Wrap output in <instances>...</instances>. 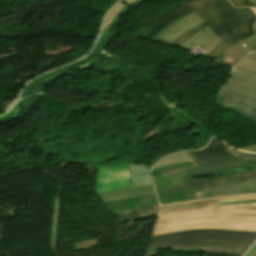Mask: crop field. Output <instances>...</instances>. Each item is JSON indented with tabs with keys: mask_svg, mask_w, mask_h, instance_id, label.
Here are the masks:
<instances>
[{
	"mask_svg": "<svg viewBox=\"0 0 256 256\" xmlns=\"http://www.w3.org/2000/svg\"><path fill=\"white\" fill-rule=\"evenodd\" d=\"M132 188L129 165L105 167L97 165L95 193Z\"/></svg>",
	"mask_w": 256,
	"mask_h": 256,
	"instance_id": "4",
	"label": "crop field"
},
{
	"mask_svg": "<svg viewBox=\"0 0 256 256\" xmlns=\"http://www.w3.org/2000/svg\"><path fill=\"white\" fill-rule=\"evenodd\" d=\"M245 256H256V243Z\"/></svg>",
	"mask_w": 256,
	"mask_h": 256,
	"instance_id": "23",
	"label": "crop field"
},
{
	"mask_svg": "<svg viewBox=\"0 0 256 256\" xmlns=\"http://www.w3.org/2000/svg\"><path fill=\"white\" fill-rule=\"evenodd\" d=\"M242 150H247V151L256 152V144L251 145V146H249V147L242 148Z\"/></svg>",
	"mask_w": 256,
	"mask_h": 256,
	"instance_id": "24",
	"label": "crop field"
},
{
	"mask_svg": "<svg viewBox=\"0 0 256 256\" xmlns=\"http://www.w3.org/2000/svg\"><path fill=\"white\" fill-rule=\"evenodd\" d=\"M133 187L152 185L146 164L130 165Z\"/></svg>",
	"mask_w": 256,
	"mask_h": 256,
	"instance_id": "15",
	"label": "crop field"
},
{
	"mask_svg": "<svg viewBox=\"0 0 256 256\" xmlns=\"http://www.w3.org/2000/svg\"><path fill=\"white\" fill-rule=\"evenodd\" d=\"M252 30L254 31V33L256 34V21L253 23L252 25Z\"/></svg>",
	"mask_w": 256,
	"mask_h": 256,
	"instance_id": "26",
	"label": "crop field"
},
{
	"mask_svg": "<svg viewBox=\"0 0 256 256\" xmlns=\"http://www.w3.org/2000/svg\"><path fill=\"white\" fill-rule=\"evenodd\" d=\"M123 1H126L128 4H131L133 2L139 1V0H120L119 3L112 8V10L108 13L103 26L101 30V34L99 39L109 30L111 25L115 23L118 14L124 9ZM98 39V40H99Z\"/></svg>",
	"mask_w": 256,
	"mask_h": 256,
	"instance_id": "17",
	"label": "crop field"
},
{
	"mask_svg": "<svg viewBox=\"0 0 256 256\" xmlns=\"http://www.w3.org/2000/svg\"><path fill=\"white\" fill-rule=\"evenodd\" d=\"M233 5L236 7H241V6H249L251 7L255 13H256V3H251L248 2V0H229Z\"/></svg>",
	"mask_w": 256,
	"mask_h": 256,
	"instance_id": "21",
	"label": "crop field"
},
{
	"mask_svg": "<svg viewBox=\"0 0 256 256\" xmlns=\"http://www.w3.org/2000/svg\"><path fill=\"white\" fill-rule=\"evenodd\" d=\"M246 203H256V199L245 200V201H235V202H221V203H219V206L230 205V204H246Z\"/></svg>",
	"mask_w": 256,
	"mask_h": 256,
	"instance_id": "22",
	"label": "crop field"
},
{
	"mask_svg": "<svg viewBox=\"0 0 256 256\" xmlns=\"http://www.w3.org/2000/svg\"><path fill=\"white\" fill-rule=\"evenodd\" d=\"M190 165H192L191 162H187V163L169 165V166H165V167H161V168H155V169H152L151 174L159 172V171L176 169V168L186 167V166H190Z\"/></svg>",
	"mask_w": 256,
	"mask_h": 256,
	"instance_id": "20",
	"label": "crop field"
},
{
	"mask_svg": "<svg viewBox=\"0 0 256 256\" xmlns=\"http://www.w3.org/2000/svg\"><path fill=\"white\" fill-rule=\"evenodd\" d=\"M102 205L106 208L108 212H118V211L152 207V206H157L159 204L157 201L156 194H151V195H142V196L106 201V202H102Z\"/></svg>",
	"mask_w": 256,
	"mask_h": 256,
	"instance_id": "9",
	"label": "crop field"
},
{
	"mask_svg": "<svg viewBox=\"0 0 256 256\" xmlns=\"http://www.w3.org/2000/svg\"><path fill=\"white\" fill-rule=\"evenodd\" d=\"M243 164H256V154L248 153L245 155L220 160L208 164L194 166L197 172L181 175L183 178L198 176L201 174L218 171L230 167H235Z\"/></svg>",
	"mask_w": 256,
	"mask_h": 256,
	"instance_id": "10",
	"label": "crop field"
},
{
	"mask_svg": "<svg viewBox=\"0 0 256 256\" xmlns=\"http://www.w3.org/2000/svg\"><path fill=\"white\" fill-rule=\"evenodd\" d=\"M218 92L235 93L256 100V73L234 69Z\"/></svg>",
	"mask_w": 256,
	"mask_h": 256,
	"instance_id": "6",
	"label": "crop field"
},
{
	"mask_svg": "<svg viewBox=\"0 0 256 256\" xmlns=\"http://www.w3.org/2000/svg\"><path fill=\"white\" fill-rule=\"evenodd\" d=\"M255 238V232L231 230L184 231L151 237L148 249L157 247L162 250L202 248V252L241 256Z\"/></svg>",
	"mask_w": 256,
	"mask_h": 256,
	"instance_id": "3",
	"label": "crop field"
},
{
	"mask_svg": "<svg viewBox=\"0 0 256 256\" xmlns=\"http://www.w3.org/2000/svg\"><path fill=\"white\" fill-rule=\"evenodd\" d=\"M150 193H155L153 186L101 193L98 195L101 201H105V200L118 199V198H124V197H130V196H136V195H142V194H150Z\"/></svg>",
	"mask_w": 256,
	"mask_h": 256,
	"instance_id": "13",
	"label": "crop field"
},
{
	"mask_svg": "<svg viewBox=\"0 0 256 256\" xmlns=\"http://www.w3.org/2000/svg\"><path fill=\"white\" fill-rule=\"evenodd\" d=\"M187 161H189V159L185 151H182L163 159L155 167H160V166L173 164V163L187 162Z\"/></svg>",
	"mask_w": 256,
	"mask_h": 256,
	"instance_id": "18",
	"label": "crop field"
},
{
	"mask_svg": "<svg viewBox=\"0 0 256 256\" xmlns=\"http://www.w3.org/2000/svg\"><path fill=\"white\" fill-rule=\"evenodd\" d=\"M256 193V180L196 192L197 199L215 198L227 195Z\"/></svg>",
	"mask_w": 256,
	"mask_h": 256,
	"instance_id": "11",
	"label": "crop field"
},
{
	"mask_svg": "<svg viewBox=\"0 0 256 256\" xmlns=\"http://www.w3.org/2000/svg\"><path fill=\"white\" fill-rule=\"evenodd\" d=\"M256 198V194L161 206L153 234L198 229H231L256 232V204L218 207V202Z\"/></svg>",
	"mask_w": 256,
	"mask_h": 256,
	"instance_id": "2",
	"label": "crop field"
},
{
	"mask_svg": "<svg viewBox=\"0 0 256 256\" xmlns=\"http://www.w3.org/2000/svg\"><path fill=\"white\" fill-rule=\"evenodd\" d=\"M245 58H248V59L256 61V51L253 52L252 54L246 56Z\"/></svg>",
	"mask_w": 256,
	"mask_h": 256,
	"instance_id": "25",
	"label": "crop field"
},
{
	"mask_svg": "<svg viewBox=\"0 0 256 256\" xmlns=\"http://www.w3.org/2000/svg\"><path fill=\"white\" fill-rule=\"evenodd\" d=\"M237 67L256 72V62H253L245 58H242L239 61Z\"/></svg>",
	"mask_w": 256,
	"mask_h": 256,
	"instance_id": "19",
	"label": "crop field"
},
{
	"mask_svg": "<svg viewBox=\"0 0 256 256\" xmlns=\"http://www.w3.org/2000/svg\"><path fill=\"white\" fill-rule=\"evenodd\" d=\"M252 179H256V170L241 171L237 173L226 174V175L210 177V178L192 177V178L183 179L186 185L159 190L157 191V194L160 195V194L187 189L191 187H194V190L196 192V191H200V190H204L212 187L228 185V184H233V183H237L245 180H252Z\"/></svg>",
	"mask_w": 256,
	"mask_h": 256,
	"instance_id": "5",
	"label": "crop field"
},
{
	"mask_svg": "<svg viewBox=\"0 0 256 256\" xmlns=\"http://www.w3.org/2000/svg\"><path fill=\"white\" fill-rule=\"evenodd\" d=\"M249 1L256 2V0H249Z\"/></svg>",
	"mask_w": 256,
	"mask_h": 256,
	"instance_id": "27",
	"label": "crop field"
},
{
	"mask_svg": "<svg viewBox=\"0 0 256 256\" xmlns=\"http://www.w3.org/2000/svg\"><path fill=\"white\" fill-rule=\"evenodd\" d=\"M186 153L189 156L194 166L198 164L208 163V162L244 154L247 152L233 149L214 137L211 140L208 147L200 151H186Z\"/></svg>",
	"mask_w": 256,
	"mask_h": 256,
	"instance_id": "7",
	"label": "crop field"
},
{
	"mask_svg": "<svg viewBox=\"0 0 256 256\" xmlns=\"http://www.w3.org/2000/svg\"><path fill=\"white\" fill-rule=\"evenodd\" d=\"M158 207L146 208V209H139L133 211H126V212H118L112 213L120 220L126 222L131 220H139V219H147L156 217Z\"/></svg>",
	"mask_w": 256,
	"mask_h": 256,
	"instance_id": "14",
	"label": "crop field"
},
{
	"mask_svg": "<svg viewBox=\"0 0 256 256\" xmlns=\"http://www.w3.org/2000/svg\"><path fill=\"white\" fill-rule=\"evenodd\" d=\"M161 205L197 200L193 188L158 196Z\"/></svg>",
	"mask_w": 256,
	"mask_h": 256,
	"instance_id": "16",
	"label": "crop field"
},
{
	"mask_svg": "<svg viewBox=\"0 0 256 256\" xmlns=\"http://www.w3.org/2000/svg\"><path fill=\"white\" fill-rule=\"evenodd\" d=\"M218 102L226 108L243 113L244 116L256 122V101L235 94L218 93Z\"/></svg>",
	"mask_w": 256,
	"mask_h": 256,
	"instance_id": "12",
	"label": "crop field"
},
{
	"mask_svg": "<svg viewBox=\"0 0 256 256\" xmlns=\"http://www.w3.org/2000/svg\"><path fill=\"white\" fill-rule=\"evenodd\" d=\"M193 10L205 23L177 38L171 46L179 47L191 36L208 27L222 40L209 56L217 60L220 54L235 42L254 34L251 25L256 15L251 9H236L227 0H188L158 17L139 37L151 40L167 24Z\"/></svg>",
	"mask_w": 256,
	"mask_h": 256,
	"instance_id": "1",
	"label": "crop field"
},
{
	"mask_svg": "<svg viewBox=\"0 0 256 256\" xmlns=\"http://www.w3.org/2000/svg\"><path fill=\"white\" fill-rule=\"evenodd\" d=\"M203 23L197 13L194 11L175 22L167 25L160 33H158L152 41L169 45L177 37L186 31L194 28L198 24Z\"/></svg>",
	"mask_w": 256,
	"mask_h": 256,
	"instance_id": "8",
	"label": "crop field"
}]
</instances>
